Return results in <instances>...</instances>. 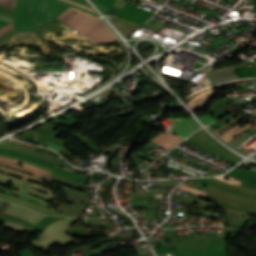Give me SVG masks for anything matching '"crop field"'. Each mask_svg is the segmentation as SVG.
<instances>
[{"mask_svg": "<svg viewBox=\"0 0 256 256\" xmlns=\"http://www.w3.org/2000/svg\"><path fill=\"white\" fill-rule=\"evenodd\" d=\"M57 19L96 43L118 41L109 28L93 15L69 7Z\"/></svg>", "mask_w": 256, "mask_h": 256, "instance_id": "obj_1", "label": "crop field"}, {"mask_svg": "<svg viewBox=\"0 0 256 256\" xmlns=\"http://www.w3.org/2000/svg\"><path fill=\"white\" fill-rule=\"evenodd\" d=\"M8 181L12 182V186H13L14 189L32 194L34 196L46 199V200L51 201V202H53L52 200L55 197L60 198V197L54 195L52 190H50V189H48L44 186L38 185L36 183L29 182V181H26V180L19 179L17 177H13V176H9V175H5V174L0 173V184L3 185V186H6ZM30 188L39 190V191L44 192L48 195H46L44 193H41L39 191L30 189ZM14 189L9 191V190H6V189L0 187V191H2V192H5V193H8V194L20 197V198L28 199V200H31V201L36 202L38 204H41V205L52 208L47 202H45V201H43L39 198H36L34 196H31L29 194L14 190Z\"/></svg>", "mask_w": 256, "mask_h": 256, "instance_id": "obj_2", "label": "crop field"}, {"mask_svg": "<svg viewBox=\"0 0 256 256\" xmlns=\"http://www.w3.org/2000/svg\"><path fill=\"white\" fill-rule=\"evenodd\" d=\"M75 220L76 218L67 217L65 220H59L49 225L39 237L30 241V243L37 249L43 248L44 252L50 250V247L55 243L61 246L69 245L75 239L63 231Z\"/></svg>", "mask_w": 256, "mask_h": 256, "instance_id": "obj_3", "label": "crop field"}, {"mask_svg": "<svg viewBox=\"0 0 256 256\" xmlns=\"http://www.w3.org/2000/svg\"><path fill=\"white\" fill-rule=\"evenodd\" d=\"M30 13L36 24H41L57 18L68 6L53 2V0H30Z\"/></svg>", "mask_w": 256, "mask_h": 256, "instance_id": "obj_4", "label": "crop field"}, {"mask_svg": "<svg viewBox=\"0 0 256 256\" xmlns=\"http://www.w3.org/2000/svg\"><path fill=\"white\" fill-rule=\"evenodd\" d=\"M13 16V32L38 31L29 15V0H16Z\"/></svg>", "mask_w": 256, "mask_h": 256, "instance_id": "obj_5", "label": "crop field"}, {"mask_svg": "<svg viewBox=\"0 0 256 256\" xmlns=\"http://www.w3.org/2000/svg\"><path fill=\"white\" fill-rule=\"evenodd\" d=\"M168 119L175 126L172 131L184 138L188 137L191 133L201 128L191 118H168Z\"/></svg>", "mask_w": 256, "mask_h": 256, "instance_id": "obj_6", "label": "crop field"}, {"mask_svg": "<svg viewBox=\"0 0 256 256\" xmlns=\"http://www.w3.org/2000/svg\"><path fill=\"white\" fill-rule=\"evenodd\" d=\"M0 199L24 205V206H26V207H28L30 209L42 212L44 214L57 215V216H65L64 214H62V213H60L58 211H55V210H52V209H48V208L39 206V205H37V204H35L33 202L26 201V200L19 199V198H15V197H12V196H9V195H5V194H2V193H0Z\"/></svg>", "mask_w": 256, "mask_h": 256, "instance_id": "obj_7", "label": "crop field"}, {"mask_svg": "<svg viewBox=\"0 0 256 256\" xmlns=\"http://www.w3.org/2000/svg\"><path fill=\"white\" fill-rule=\"evenodd\" d=\"M5 213L16 215L18 217L29 220L33 223H36L39 219H41L44 216V215L32 212L30 210H27L23 207L14 205L12 203H10V205L6 209Z\"/></svg>", "mask_w": 256, "mask_h": 256, "instance_id": "obj_8", "label": "crop field"}, {"mask_svg": "<svg viewBox=\"0 0 256 256\" xmlns=\"http://www.w3.org/2000/svg\"><path fill=\"white\" fill-rule=\"evenodd\" d=\"M183 139L171 134L170 132L159 134L155 137L151 142L165 148H174L177 144H179Z\"/></svg>", "mask_w": 256, "mask_h": 256, "instance_id": "obj_9", "label": "crop field"}, {"mask_svg": "<svg viewBox=\"0 0 256 256\" xmlns=\"http://www.w3.org/2000/svg\"><path fill=\"white\" fill-rule=\"evenodd\" d=\"M0 165L4 166V167L11 168V169H14V170H17V171H21V172L32 174L34 176H37L39 178H42V179L47 180V181L50 182L49 178L41 176L40 172H38V171L29 169V168H25V167H22V166L14 165V164L8 163V162L3 161V160H0Z\"/></svg>", "mask_w": 256, "mask_h": 256, "instance_id": "obj_10", "label": "crop field"}, {"mask_svg": "<svg viewBox=\"0 0 256 256\" xmlns=\"http://www.w3.org/2000/svg\"><path fill=\"white\" fill-rule=\"evenodd\" d=\"M253 120V118H251V120L249 122H251ZM246 123L244 126H242L241 128H239L240 126H235L233 128H231L230 130H228L226 133H224L223 135H221L220 137H222L224 140H226L227 142L230 141L231 139H233L234 137H236L238 134H240L241 132H243L244 130H246L248 127H250L251 125H248L249 124ZM256 122V121H255ZM254 122V123H255ZM253 123V124H254ZM252 124V125H253ZM239 128V129H238ZM238 129V130H236ZM236 130V131H234ZM234 131V132H233Z\"/></svg>", "mask_w": 256, "mask_h": 256, "instance_id": "obj_11", "label": "crop field"}, {"mask_svg": "<svg viewBox=\"0 0 256 256\" xmlns=\"http://www.w3.org/2000/svg\"><path fill=\"white\" fill-rule=\"evenodd\" d=\"M243 118H244V116H241V115L233 118L232 120H230L229 122H227L226 124H224L223 126L218 128L217 130H215V133H217L219 135L222 134L223 132H225L227 129H229L230 127H232L236 123H238Z\"/></svg>", "mask_w": 256, "mask_h": 256, "instance_id": "obj_12", "label": "crop field"}, {"mask_svg": "<svg viewBox=\"0 0 256 256\" xmlns=\"http://www.w3.org/2000/svg\"><path fill=\"white\" fill-rule=\"evenodd\" d=\"M178 189L207 198V193L201 192L199 190H196L194 188H191V187H188V186H185V185H182Z\"/></svg>", "mask_w": 256, "mask_h": 256, "instance_id": "obj_13", "label": "crop field"}, {"mask_svg": "<svg viewBox=\"0 0 256 256\" xmlns=\"http://www.w3.org/2000/svg\"><path fill=\"white\" fill-rule=\"evenodd\" d=\"M192 135H194V136H196V137H198V138H200V139H202V140H205V141H207V142H209V143H212V144H214V145H216V146H218V147H220V148H222V149H224V150H226V151H228V152H230V153H232L231 151H229V150H227L225 147H223L221 144H219L218 142H216V141H214V140H212V139H210V138H208V137H206V136H203V135H201V134H199V133H194V134H192Z\"/></svg>", "mask_w": 256, "mask_h": 256, "instance_id": "obj_14", "label": "crop field"}, {"mask_svg": "<svg viewBox=\"0 0 256 256\" xmlns=\"http://www.w3.org/2000/svg\"><path fill=\"white\" fill-rule=\"evenodd\" d=\"M4 227L10 228V229H14V230H17V231H21V232H24V231L27 230V228H25L23 226L11 224V223H5Z\"/></svg>", "mask_w": 256, "mask_h": 256, "instance_id": "obj_15", "label": "crop field"}, {"mask_svg": "<svg viewBox=\"0 0 256 256\" xmlns=\"http://www.w3.org/2000/svg\"><path fill=\"white\" fill-rule=\"evenodd\" d=\"M0 172H2V173H6V174H10V175H14V176H17V177H19V178L26 179V180H29V181H33V182H36V183L42 184V185H44V186H47V187L53 188V187H51V186H49V185H47V184H45V183H43V182H39V181H36V180H32V179H29V178L24 177V176H20V175H17V174H14V173H10V172H7V171H3V170H0Z\"/></svg>", "mask_w": 256, "mask_h": 256, "instance_id": "obj_16", "label": "crop field"}, {"mask_svg": "<svg viewBox=\"0 0 256 256\" xmlns=\"http://www.w3.org/2000/svg\"><path fill=\"white\" fill-rule=\"evenodd\" d=\"M0 159H4V160H7V161L15 162V163H18V164H21V165L27 166V167H29V168H33V169H35V170L42 171V172L47 173V174H49V175L51 174L50 172H47V171H44V170H41V169H38V168L32 167V166L27 165V164L22 163V162H18V161H14V160L6 159V158H4V157H0Z\"/></svg>", "mask_w": 256, "mask_h": 256, "instance_id": "obj_17", "label": "crop field"}, {"mask_svg": "<svg viewBox=\"0 0 256 256\" xmlns=\"http://www.w3.org/2000/svg\"><path fill=\"white\" fill-rule=\"evenodd\" d=\"M0 169H4V170L10 171V172H14V173H17V174H20V175H24V176H27V177H29V178L37 179V180H40V181H43V182H46V183L50 184L49 182L44 181V180H42V179H39V178H37V177L29 176V175H26V174H23V173H20V172H17V171H13V170H10V169L1 167V166H0ZM50 185H51V184H50Z\"/></svg>", "mask_w": 256, "mask_h": 256, "instance_id": "obj_18", "label": "crop field"}, {"mask_svg": "<svg viewBox=\"0 0 256 256\" xmlns=\"http://www.w3.org/2000/svg\"><path fill=\"white\" fill-rule=\"evenodd\" d=\"M200 119H201V121H202L205 125H207V124H209V123H211V122L213 121V118H212L209 114L200 117Z\"/></svg>", "mask_w": 256, "mask_h": 256, "instance_id": "obj_19", "label": "crop field"}, {"mask_svg": "<svg viewBox=\"0 0 256 256\" xmlns=\"http://www.w3.org/2000/svg\"><path fill=\"white\" fill-rule=\"evenodd\" d=\"M92 1V0H91ZM103 13H106L107 10L109 9V7L103 5V4H100V3H97L95 1H92Z\"/></svg>", "mask_w": 256, "mask_h": 256, "instance_id": "obj_20", "label": "crop field"}, {"mask_svg": "<svg viewBox=\"0 0 256 256\" xmlns=\"http://www.w3.org/2000/svg\"><path fill=\"white\" fill-rule=\"evenodd\" d=\"M10 29H12V23L0 29V36L5 32L9 31Z\"/></svg>", "mask_w": 256, "mask_h": 256, "instance_id": "obj_21", "label": "crop field"}, {"mask_svg": "<svg viewBox=\"0 0 256 256\" xmlns=\"http://www.w3.org/2000/svg\"><path fill=\"white\" fill-rule=\"evenodd\" d=\"M64 1H66V2H68V3H70V4H73V5H76V6H78V7H81V8H84V9H88V10L93 11L92 9H90V8H88V7H86V6L81 5V4H78V3H75V2H73V1H71V0H64Z\"/></svg>", "mask_w": 256, "mask_h": 256, "instance_id": "obj_22", "label": "crop field"}, {"mask_svg": "<svg viewBox=\"0 0 256 256\" xmlns=\"http://www.w3.org/2000/svg\"><path fill=\"white\" fill-rule=\"evenodd\" d=\"M55 1H57V2H61V3H64V4H67V3L62 2V1H59V0H55ZM67 5H69V6H73V5H70V4H67ZM73 7L77 8V9H80V10H83V11H85V12H87V13H90V14H93V15H97V14H96V13H94V12L87 11V10H84V9H81V8H78V7H76V6H73ZM97 16H98V15H97Z\"/></svg>", "mask_w": 256, "mask_h": 256, "instance_id": "obj_23", "label": "crop field"}, {"mask_svg": "<svg viewBox=\"0 0 256 256\" xmlns=\"http://www.w3.org/2000/svg\"><path fill=\"white\" fill-rule=\"evenodd\" d=\"M44 145L45 146H49V147H52V148H54V149H56V150H60V148H61V146H58V145H54V144H51V143H47V142H45L44 143Z\"/></svg>", "mask_w": 256, "mask_h": 256, "instance_id": "obj_24", "label": "crop field"}, {"mask_svg": "<svg viewBox=\"0 0 256 256\" xmlns=\"http://www.w3.org/2000/svg\"><path fill=\"white\" fill-rule=\"evenodd\" d=\"M1 20H7L12 22V18L0 15Z\"/></svg>", "mask_w": 256, "mask_h": 256, "instance_id": "obj_25", "label": "crop field"}, {"mask_svg": "<svg viewBox=\"0 0 256 256\" xmlns=\"http://www.w3.org/2000/svg\"><path fill=\"white\" fill-rule=\"evenodd\" d=\"M0 4L11 6V7H13V5H14L12 3H7V2H3V1H0Z\"/></svg>", "mask_w": 256, "mask_h": 256, "instance_id": "obj_26", "label": "crop field"}, {"mask_svg": "<svg viewBox=\"0 0 256 256\" xmlns=\"http://www.w3.org/2000/svg\"><path fill=\"white\" fill-rule=\"evenodd\" d=\"M73 1L89 6L84 0H73Z\"/></svg>", "mask_w": 256, "mask_h": 256, "instance_id": "obj_27", "label": "crop field"}, {"mask_svg": "<svg viewBox=\"0 0 256 256\" xmlns=\"http://www.w3.org/2000/svg\"><path fill=\"white\" fill-rule=\"evenodd\" d=\"M0 7H1V8H6V9H10V10L13 9V8H11V7H7V6H3V5H0Z\"/></svg>", "mask_w": 256, "mask_h": 256, "instance_id": "obj_28", "label": "crop field"}, {"mask_svg": "<svg viewBox=\"0 0 256 256\" xmlns=\"http://www.w3.org/2000/svg\"><path fill=\"white\" fill-rule=\"evenodd\" d=\"M10 32H12V30H10L9 32H7V33H5L4 35H2V36L0 37V39H1L2 37H4L5 35L9 34Z\"/></svg>", "mask_w": 256, "mask_h": 256, "instance_id": "obj_29", "label": "crop field"}, {"mask_svg": "<svg viewBox=\"0 0 256 256\" xmlns=\"http://www.w3.org/2000/svg\"><path fill=\"white\" fill-rule=\"evenodd\" d=\"M3 1H8V2H12V3H14L15 1H13V0H3Z\"/></svg>", "mask_w": 256, "mask_h": 256, "instance_id": "obj_30", "label": "crop field"}, {"mask_svg": "<svg viewBox=\"0 0 256 256\" xmlns=\"http://www.w3.org/2000/svg\"><path fill=\"white\" fill-rule=\"evenodd\" d=\"M42 175L50 178V176H49V175H46V174H43V173H42Z\"/></svg>", "mask_w": 256, "mask_h": 256, "instance_id": "obj_31", "label": "crop field"}]
</instances>
